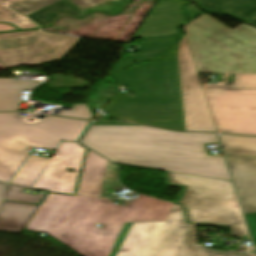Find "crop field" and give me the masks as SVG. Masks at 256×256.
Masks as SVG:
<instances>
[{"mask_svg": "<svg viewBox=\"0 0 256 256\" xmlns=\"http://www.w3.org/2000/svg\"><path fill=\"white\" fill-rule=\"evenodd\" d=\"M184 28L198 73L236 74L233 86L205 87L219 131L256 135V29L206 14Z\"/></svg>", "mask_w": 256, "mask_h": 256, "instance_id": "1", "label": "crop field"}, {"mask_svg": "<svg viewBox=\"0 0 256 256\" xmlns=\"http://www.w3.org/2000/svg\"><path fill=\"white\" fill-rule=\"evenodd\" d=\"M102 200L48 193L25 229L46 232L82 256H114L131 222L165 221L173 205L142 195L125 207Z\"/></svg>", "mask_w": 256, "mask_h": 256, "instance_id": "2", "label": "crop field"}, {"mask_svg": "<svg viewBox=\"0 0 256 256\" xmlns=\"http://www.w3.org/2000/svg\"><path fill=\"white\" fill-rule=\"evenodd\" d=\"M216 134L175 133L145 126H92L82 144L109 160L230 180L223 157L207 156Z\"/></svg>", "mask_w": 256, "mask_h": 256, "instance_id": "3", "label": "crop field"}, {"mask_svg": "<svg viewBox=\"0 0 256 256\" xmlns=\"http://www.w3.org/2000/svg\"><path fill=\"white\" fill-rule=\"evenodd\" d=\"M176 51L163 60L113 74L134 96L115 94L105 110L111 112L110 117L184 131Z\"/></svg>", "mask_w": 256, "mask_h": 256, "instance_id": "4", "label": "crop field"}, {"mask_svg": "<svg viewBox=\"0 0 256 256\" xmlns=\"http://www.w3.org/2000/svg\"><path fill=\"white\" fill-rule=\"evenodd\" d=\"M166 185L181 188L176 202L183 205L189 224L227 226L232 236L248 237L231 182L166 172Z\"/></svg>", "mask_w": 256, "mask_h": 256, "instance_id": "5", "label": "crop field"}, {"mask_svg": "<svg viewBox=\"0 0 256 256\" xmlns=\"http://www.w3.org/2000/svg\"><path fill=\"white\" fill-rule=\"evenodd\" d=\"M194 228L184 222L181 207L174 204L166 222L132 223L116 256H255L197 245Z\"/></svg>", "mask_w": 256, "mask_h": 256, "instance_id": "6", "label": "crop field"}, {"mask_svg": "<svg viewBox=\"0 0 256 256\" xmlns=\"http://www.w3.org/2000/svg\"><path fill=\"white\" fill-rule=\"evenodd\" d=\"M20 113H0V161L16 173L29 147L55 150L61 140L77 141L89 122L45 116L25 123ZM9 183L10 179L0 176Z\"/></svg>", "mask_w": 256, "mask_h": 256, "instance_id": "7", "label": "crop field"}, {"mask_svg": "<svg viewBox=\"0 0 256 256\" xmlns=\"http://www.w3.org/2000/svg\"><path fill=\"white\" fill-rule=\"evenodd\" d=\"M189 3L185 0H158L132 36L143 38L139 52L121 56L112 72L130 66L134 61L162 58L169 54L180 37L178 28L187 22L182 9Z\"/></svg>", "mask_w": 256, "mask_h": 256, "instance_id": "8", "label": "crop field"}, {"mask_svg": "<svg viewBox=\"0 0 256 256\" xmlns=\"http://www.w3.org/2000/svg\"><path fill=\"white\" fill-rule=\"evenodd\" d=\"M177 59L180 72L185 131L217 132L185 35L179 41Z\"/></svg>", "mask_w": 256, "mask_h": 256, "instance_id": "9", "label": "crop field"}, {"mask_svg": "<svg viewBox=\"0 0 256 256\" xmlns=\"http://www.w3.org/2000/svg\"><path fill=\"white\" fill-rule=\"evenodd\" d=\"M49 39L35 54L33 57L34 64H41L49 61H53L54 57L59 54L64 47L73 42L69 45L66 50L57 58L60 59L78 40L79 38L66 36V35H54V34H47L42 30L39 31H25V32H14V33H4L0 34V61L7 67V55L5 51L4 44H8L9 53L11 58L12 67L22 66L19 62V56L17 51L18 40H21V49L23 53V65H34L31 64L29 59L40 46V44ZM60 41L48 54L43 62H39L44 54L48 51V49L56 42ZM56 59V60H57Z\"/></svg>", "mask_w": 256, "mask_h": 256, "instance_id": "10", "label": "crop field"}, {"mask_svg": "<svg viewBox=\"0 0 256 256\" xmlns=\"http://www.w3.org/2000/svg\"><path fill=\"white\" fill-rule=\"evenodd\" d=\"M85 150L79 143H61L32 188L74 193Z\"/></svg>", "mask_w": 256, "mask_h": 256, "instance_id": "11", "label": "crop field"}, {"mask_svg": "<svg viewBox=\"0 0 256 256\" xmlns=\"http://www.w3.org/2000/svg\"><path fill=\"white\" fill-rule=\"evenodd\" d=\"M226 159L256 242V157L227 156Z\"/></svg>", "mask_w": 256, "mask_h": 256, "instance_id": "12", "label": "crop field"}, {"mask_svg": "<svg viewBox=\"0 0 256 256\" xmlns=\"http://www.w3.org/2000/svg\"><path fill=\"white\" fill-rule=\"evenodd\" d=\"M107 160L88 150L77 193L101 196L106 189L122 187L119 183L103 181Z\"/></svg>", "mask_w": 256, "mask_h": 256, "instance_id": "13", "label": "crop field"}, {"mask_svg": "<svg viewBox=\"0 0 256 256\" xmlns=\"http://www.w3.org/2000/svg\"><path fill=\"white\" fill-rule=\"evenodd\" d=\"M36 207L37 205L4 201L0 210V231L20 233Z\"/></svg>", "mask_w": 256, "mask_h": 256, "instance_id": "14", "label": "crop field"}, {"mask_svg": "<svg viewBox=\"0 0 256 256\" xmlns=\"http://www.w3.org/2000/svg\"><path fill=\"white\" fill-rule=\"evenodd\" d=\"M200 7L212 12H226L247 20L256 13V0H196Z\"/></svg>", "mask_w": 256, "mask_h": 256, "instance_id": "15", "label": "crop field"}, {"mask_svg": "<svg viewBox=\"0 0 256 256\" xmlns=\"http://www.w3.org/2000/svg\"><path fill=\"white\" fill-rule=\"evenodd\" d=\"M39 81H16V79H0V111L17 110L22 91L31 89Z\"/></svg>", "mask_w": 256, "mask_h": 256, "instance_id": "16", "label": "crop field"}, {"mask_svg": "<svg viewBox=\"0 0 256 256\" xmlns=\"http://www.w3.org/2000/svg\"><path fill=\"white\" fill-rule=\"evenodd\" d=\"M81 9L68 0H61L29 16L31 20L41 27L50 26L58 16L80 14Z\"/></svg>", "mask_w": 256, "mask_h": 256, "instance_id": "17", "label": "crop field"}, {"mask_svg": "<svg viewBox=\"0 0 256 256\" xmlns=\"http://www.w3.org/2000/svg\"><path fill=\"white\" fill-rule=\"evenodd\" d=\"M49 158L29 155L19 171L11 181V184L31 188Z\"/></svg>", "mask_w": 256, "mask_h": 256, "instance_id": "18", "label": "crop field"}, {"mask_svg": "<svg viewBox=\"0 0 256 256\" xmlns=\"http://www.w3.org/2000/svg\"><path fill=\"white\" fill-rule=\"evenodd\" d=\"M59 0H7L2 3L10 6L23 15L31 14ZM79 8L90 7L111 0H70Z\"/></svg>", "mask_w": 256, "mask_h": 256, "instance_id": "19", "label": "crop field"}, {"mask_svg": "<svg viewBox=\"0 0 256 256\" xmlns=\"http://www.w3.org/2000/svg\"><path fill=\"white\" fill-rule=\"evenodd\" d=\"M220 139L226 155L256 156V137L222 134Z\"/></svg>", "mask_w": 256, "mask_h": 256, "instance_id": "20", "label": "crop field"}, {"mask_svg": "<svg viewBox=\"0 0 256 256\" xmlns=\"http://www.w3.org/2000/svg\"><path fill=\"white\" fill-rule=\"evenodd\" d=\"M0 21L10 22L18 26L20 29L37 27L34 23L24 19L23 17L19 16L18 14L9 10L8 8L2 6L1 4H0Z\"/></svg>", "mask_w": 256, "mask_h": 256, "instance_id": "21", "label": "crop field"}, {"mask_svg": "<svg viewBox=\"0 0 256 256\" xmlns=\"http://www.w3.org/2000/svg\"><path fill=\"white\" fill-rule=\"evenodd\" d=\"M23 188L8 186L5 200H12V201H22V202H32V203H40L41 199L43 198L44 194L38 193L37 196L22 193Z\"/></svg>", "mask_w": 256, "mask_h": 256, "instance_id": "22", "label": "crop field"}, {"mask_svg": "<svg viewBox=\"0 0 256 256\" xmlns=\"http://www.w3.org/2000/svg\"><path fill=\"white\" fill-rule=\"evenodd\" d=\"M72 106H73V109L71 108L69 111L61 110L59 115L79 118V119H86V120L91 119L92 115L89 109L87 108L86 104L72 105Z\"/></svg>", "mask_w": 256, "mask_h": 256, "instance_id": "23", "label": "crop field"}, {"mask_svg": "<svg viewBox=\"0 0 256 256\" xmlns=\"http://www.w3.org/2000/svg\"><path fill=\"white\" fill-rule=\"evenodd\" d=\"M104 180L117 182V168L110 162L107 163Z\"/></svg>", "mask_w": 256, "mask_h": 256, "instance_id": "24", "label": "crop field"}, {"mask_svg": "<svg viewBox=\"0 0 256 256\" xmlns=\"http://www.w3.org/2000/svg\"><path fill=\"white\" fill-rule=\"evenodd\" d=\"M14 174V172H12L9 168L0 162V175L12 179Z\"/></svg>", "mask_w": 256, "mask_h": 256, "instance_id": "25", "label": "crop field"}, {"mask_svg": "<svg viewBox=\"0 0 256 256\" xmlns=\"http://www.w3.org/2000/svg\"><path fill=\"white\" fill-rule=\"evenodd\" d=\"M186 10L190 16V20H192L193 18H195L196 16H198L199 14H201L202 12L198 11L193 4L186 7Z\"/></svg>", "mask_w": 256, "mask_h": 256, "instance_id": "26", "label": "crop field"}, {"mask_svg": "<svg viewBox=\"0 0 256 256\" xmlns=\"http://www.w3.org/2000/svg\"><path fill=\"white\" fill-rule=\"evenodd\" d=\"M7 186H8L7 184L0 183V207H1V204L3 202V198H4V195H5Z\"/></svg>", "mask_w": 256, "mask_h": 256, "instance_id": "27", "label": "crop field"}, {"mask_svg": "<svg viewBox=\"0 0 256 256\" xmlns=\"http://www.w3.org/2000/svg\"><path fill=\"white\" fill-rule=\"evenodd\" d=\"M17 30L15 27L9 24H0V31Z\"/></svg>", "mask_w": 256, "mask_h": 256, "instance_id": "28", "label": "crop field"}, {"mask_svg": "<svg viewBox=\"0 0 256 256\" xmlns=\"http://www.w3.org/2000/svg\"><path fill=\"white\" fill-rule=\"evenodd\" d=\"M234 76H235V75H229V74H227V76H226V83L232 84V83H233Z\"/></svg>", "mask_w": 256, "mask_h": 256, "instance_id": "29", "label": "crop field"}, {"mask_svg": "<svg viewBox=\"0 0 256 256\" xmlns=\"http://www.w3.org/2000/svg\"><path fill=\"white\" fill-rule=\"evenodd\" d=\"M248 21L256 23V14L253 17H251Z\"/></svg>", "mask_w": 256, "mask_h": 256, "instance_id": "30", "label": "crop field"}, {"mask_svg": "<svg viewBox=\"0 0 256 256\" xmlns=\"http://www.w3.org/2000/svg\"><path fill=\"white\" fill-rule=\"evenodd\" d=\"M18 50H19V55H20V61H21V64H22V54H21V50H20V41H19Z\"/></svg>", "mask_w": 256, "mask_h": 256, "instance_id": "31", "label": "crop field"}, {"mask_svg": "<svg viewBox=\"0 0 256 256\" xmlns=\"http://www.w3.org/2000/svg\"><path fill=\"white\" fill-rule=\"evenodd\" d=\"M58 42H56L50 49H49V51L46 53V55L42 58V60L41 61H43V59L47 56V54L51 51V49L57 44Z\"/></svg>", "mask_w": 256, "mask_h": 256, "instance_id": "32", "label": "crop field"}, {"mask_svg": "<svg viewBox=\"0 0 256 256\" xmlns=\"http://www.w3.org/2000/svg\"><path fill=\"white\" fill-rule=\"evenodd\" d=\"M5 47H6V51H7V55H8L9 66H11V64H10V58H9V53H8V47H7V45H5Z\"/></svg>", "mask_w": 256, "mask_h": 256, "instance_id": "33", "label": "crop field"}, {"mask_svg": "<svg viewBox=\"0 0 256 256\" xmlns=\"http://www.w3.org/2000/svg\"><path fill=\"white\" fill-rule=\"evenodd\" d=\"M46 41H47V40H46ZM46 41H45V42H46ZM45 42H43V43L41 44V46H42ZM41 46H40V47H41ZM40 47H39V48H40ZM39 48H38V49H39ZM36 52H37V51H36ZM36 52H35V53H36ZM33 56H34V55H33ZM33 56H32V57H33ZM30 60H31V59H30ZM31 62L34 63L32 60H31Z\"/></svg>", "mask_w": 256, "mask_h": 256, "instance_id": "34", "label": "crop field"}, {"mask_svg": "<svg viewBox=\"0 0 256 256\" xmlns=\"http://www.w3.org/2000/svg\"><path fill=\"white\" fill-rule=\"evenodd\" d=\"M67 46H68V45H67ZM67 46H66V47H67ZM64 50H65V49H64ZM64 50H63V51H64ZM63 51H62V52H63ZM62 52H61V53H62ZM61 53H60V54H61ZM60 54H59V55H60ZM59 55H57V56L55 57V59H56Z\"/></svg>", "mask_w": 256, "mask_h": 256, "instance_id": "35", "label": "crop field"}]
</instances>
